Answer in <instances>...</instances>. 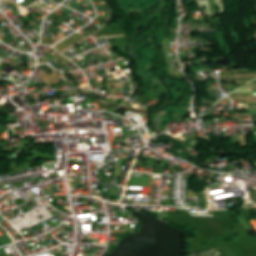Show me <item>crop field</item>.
I'll return each instance as SVG.
<instances>
[{
    "instance_id": "obj_1",
    "label": "crop field",
    "mask_w": 256,
    "mask_h": 256,
    "mask_svg": "<svg viewBox=\"0 0 256 256\" xmlns=\"http://www.w3.org/2000/svg\"><path fill=\"white\" fill-rule=\"evenodd\" d=\"M40 68L43 70V71H45L47 74H52L53 73V69L52 68H50L48 65H43V66H40Z\"/></svg>"
},
{
    "instance_id": "obj_2",
    "label": "crop field",
    "mask_w": 256,
    "mask_h": 256,
    "mask_svg": "<svg viewBox=\"0 0 256 256\" xmlns=\"http://www.w3.org/2000/svg\"><path fill=\"white\" fill-rule=\"evenodd\" d=\"M210 4H211V9H212L213 16L219 15L218 12H217V8H216V5L214 3V0H210Z\"/></svg>"
}]
</instances>
